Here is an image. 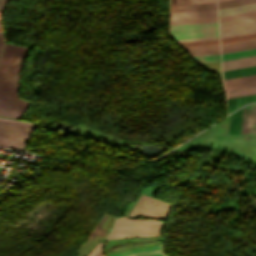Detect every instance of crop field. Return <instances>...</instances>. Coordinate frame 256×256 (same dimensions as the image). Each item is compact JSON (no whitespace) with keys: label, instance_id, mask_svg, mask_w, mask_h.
Listing matches in <instances>:
<instances>
[{"label":"crop field","instance_id":"dd49c442","mask_svg":"<svg viewBox=\"0 0 256 256\" xmlns=\"http://www.w3.org/2000/svg\"><path fill=\"white\" fill-rule=\"evenodd\" d=\"M251 31H256V16L220 22L221 37Z\"/></svg>","mask_w":256,"mask_h":256},{"label":"crop field","instance_id":"d8731c3e","mask_svg":"<svg viewBox=\"0 0 256 256\" xmlns=\"http://www.w3.org/2000/svg\"><path fill=\"white\" fill-rule=\"evenodd\" d=\"M217 16L216 9L170 13V20Z\"/></svg>","mask_w":256,"mask_h":256},{"label":"crop field","instance_id":"bc2a9ffb","mask_svg":"<svg viewBox=\"0 0 256 256\" xmlns=\"http://www.w3.org/2000/svg\"><path fill=\"white\" fill-rule=\"evenodd\" d=\"M197 63L220 61L219 54L192 57Z\"/></svg>","mask_w":256,"mask_h":256},{"label":"crop field","instance_id":"028f5c9d","mask_svg":"<svg viewBox=\"0 0 256 256\" xmlns=\"http://www.w3.org/2000/svg\"><path fill=\"white\" fill-rule=\"evenodd\" d=\"M0 32H2V28H1V22H0Z\"/></svg>","mask_w":256,"mask_h":256},{"label":"crop field","instance_id":"ae1a2a85","mask_svg":"<svg viewBox=\"0 0 256 256\" xmlns=\"http://www.w3.org/2000/svg\"><path fill=\"white\" fill-rule=\"evenodd\" d=\"M254 47H256V44L241 46V47H236V48H230V49H224V50H222V53L236 51V50H242V49H248V48H254Z\"/></svg>","mask_w":256,"mask_h":256},{"label":"crop field","instance_id":"d32e631a","mask_svg":"<svg viewBox=\"0 0 256 256\" xmlns=\"http://www.w3.org/2000/svg\"><path fill=\"white\" fill-rule=\"evenodd\" d=\"M253 33H256V32H251V33H246V34H240V35H235V36H241V35H247V34H253ZM235 36H229V37H235ZM229 37H223V38H229ZM221 38V39H223Z\"/></svg>","mask_w":256,"mask_h":256},{"label":"crop field","instance_id":"dafd665d","mask_svg":"<svg viewBox=\"0 0 256 256\" xmlns=\"http://www.w3.org/2000/svg\"><path fill=\"white\" fill-rule=\"evenodd\" d=\"M251 2H256V0H232V1L220 2L218 3V6L219 8H221V7L239 5V4H245V3H251Z\"/></svg>","mask_w":256,"mask_h":256},{"label":"crop field","instance_id":"5142ce71","mask_svg":"<svg viewBox=\"0 0 256 256\" xmlns=\"http://www.w3.org/2000/svg\"><path fill=\"white\" fill-rule=\"evenodd\" d=\"M223 74H224V79L238 77V76H244V75H250V74H256V66L237 69V70H231V71H225V72H223Z\"/></svg>","mask_w":256,"mask_h":256},{"label":"crop field","instance_id":"e52e79f7","mask_svg":"<svg viewBox=\"0 0 256 256\" xmlns=\"http://www.w3.org/2000/svg\"><path fill=\"white\" fill-rule=\"evenodd\" d=\"M109 256H165L162 252V245L131 250Z\"/></svg>","mask_w":256,"mask_h":256},{"label":"crop field","instance_id":"e1f06a70","mask_svg":"<svg viewBox=\"0 0 256 256\" xmlns=\"http://www.w3.org/2000/svg\"><path fill=\"white\" fill-rule=\"evenodd\" d=\"M220 1H226V0H218V2H220Z\"/></svg>","mask_w":256,"mask_h":256},{"label":"crop field","instance_id":"730fd06b","mask_svg":"<svg viewBox=\"0 0 256 256\" xmlns=\"http://www.w3.org/2000/svg\"><path fill=\"white\" fill-rule=\"evenodd\" d=\"M252 43H256V39L240 41V42H235V43H229V44H223V45H221V47H222V49H224V48L236 47V46L247 45V44H252Z\"/></svg>","mask_w":256,"mask_h":256},{"label":"crop field","instance_id":"3316defc","mask_svg":"<svg viewBox=\"0 0 256 256\" xmlns=\"http://www.w3.org/2000/svg\"><path fill=\"white\" fill-rule=\"evenodd\" d=\"M256 65V56L222 62L223 71Z\"/></svg>","mask_w":256,"mask_h":256},{"label":"crop field","instance_id":"1d83c4d3","mask_svg":"<svg viewBox=\"0 0 256 256\" xmlns=\"http://www.w3.org/2000/svg\"><path fill=\"white\" fill-rule=\"evenodd\" d=\"M3 43H4L3 34L0 33V53H1V50H2V47H3Z\"/></svg>","mask_w":256,"mask_h":256},{"label":"crop field","instance_id":"00972430","mask_svg":"<svg viewBox=\"0 0 256 256\" xmlns=\"http://www.w3.org/2000/svg\"><path fill=\"white\" fill-rule=\"evenodd\" d=\"M249 133H256V104H252Z\"/></svg>","mask_w":256,"mask_h":256},{"label":"crop field","instance_id":"8a807250","mask_svg":"<svg viewBox=\"0 0 256 256\" xmlns=\"http://www.w3.org/2000/svg\"><path fill=\"white\" fill-rule=\"evenodd\" d=\"M28 48L6 44L0 58V115L19 119L29 101L18 98L23 61Z\"/></svg>","mask_w":256,"mask_h":256},{"label":"crop field","instance_id":"cbeb9de0","mask_svg":"<svg viewBox=\"0 0 256 256\" xmlns=\"http://www.w3.org/2000/svg\"><path fill=\"white\" fill-rule=\"evenodd\" d=\"M253 55H256V48L242 50V51H236V52H230V53H224V54H222V61L241 58V57H247V56H253Z\"/></svg>","mask_w":256,"mask_h":256},{"label":"crop field","instance_id":"214f88e0","mask_svg":"<svg viewBox=\"0 0 256 256\" xmlns=\"http://www.w3.org/2000/svg\"><path fill=\"white\" fill-rule=\"evenodd\" d=\"M179 44L181 47H188V46H200V45H213V44H219V42L218 40H212V41L184 42Z\"/></svg>","mask_w":256,"mask_h":256},{"label":"crop field","instance_id":"22f410ed","mask_svg":"<svg viewBox=\"0 0 256 256\" xmlns=\"http://www.w3.org/2000/svg\"><path fill=\"white\" fill-rule=\"evenodd\" d=\"M211 8H216V3L170 6V12Z\"/></svg>","mask_w":256,"mask_h":256},{"label":"crop field","instance_id":"ac0d7876","mask_svg":"<svg viewBox=\"0 0 256 256\" xmlns=\"http://www.w3.org/2000/svg\"><path fill=\"white\" fill-rule=\"evenodd\" d=\"M35 126V123L0 117V146L22 149Z\"/></svg>","mask_w":256,"mask_h":256},{"label":"crop field","instance_id":"34b2d1b8","mask_svg":"<svg viewBox=\"0 0 256 256\" xmlns=\"http://www.w3.org/2000/svg\"><path fill=\"white\" fill-rule=\"evenodd\" d=\"M163 222L158 220H134L120 217L117 219L109 238L157 236Z\"/></svg>","mask_w":256,"mask_h":256},{"label":"crop field","instance_id":"4a817a6b","mask_svg":"<svg viewBox=\"0 0 256 256\" xmlns=\"http://www.w3.org/2000/svg\"><path fill=\"white\" fill-rule=\"evenodd\" d=\"M217 21V17L170 21V25Z\"/></svg>","mask_w":256,"mask_h":256},{"label":"crop field","instance_id":"120bbe31","mask_svg":"<svg viewBox=\"0 0 256 256\" xmlns=\"http://www.w3.org/2000/svg\"><path fill=\"white\" fill-rule=\"evenodd\" d=\"M212 39H218V38H211V39H197V40H183V41H177V42H184V41H198V40H212Z\"/></svg>","mask_w":256,"mask_h":256},{"label":"crop field","instance_id":"eef30255","mask_svg":"<svg viewBox=\"0 0 256 256\" xmlns=\"http://www.w3.org/2000/svg\"><path fill=\"white\" fill-rule=\"evenodd\" d=\"M252 38H256V34L241 36V37H235V38H229V39H223V40H221V44L240 41V40H246V39H252Z\"/></svg>","mask_w":256,"mask_h":256},{"label":"crop field","instance_id":"f4fd0767","mask_svg":"<svg viewBox=\"0 0 256 256\" xmlns=\"http://www.w3.org/2000/svg\"><path fill=\"white\" fill-rule=\"evenodd\" d=\"M170 204L158 199L141 195L130 216H147L165 220L170 208Z\"/></svg>","mask_w":256,"mask_h":256},{"label":"crop field","instance_id":"733c2abd","mask_svg":"<svg viewBox=\"0 0 256 256\" xmlns=\"http://www.w3.org/2000/svg\"><path fill=\"white\" fill-rule=\"evenodd\" d=\"M251 104L244 107L241 133H248Z\"/></svg>","mask_w":256,"mask_h":256},{"label":"crop field","instance_id":"5866460e","mask_svg":"<svg viewBox=\"0 0 256 256\" xmlns=\"http://www.w3.org/2000/svg\"><path fill=\"white\" fill-rule=\"evenodd\" d=\"M95 256H104V255L102 254V249H101V248H100L99 252H98Z\"/></svg>","mask_w":256,"mask_h":256},{"label":"crop field","instance_id":"5a996713","mask_svg":"<svg viewBox=\"0 0 256 256\" xmlns=\"http://www.w3.org/2000/svg\"><path fill=\"white\" fill-rule=\"evenodd\" d=\"M224 82H225L226 90L240 88V87H246V86H252V85H256V75L226 79V80H224Z\"/></svg>","mask_w":256,"mask_h":256},{"label":"crop field","instance_id":"bd1437ed","mask_svg":"<svg viewBox=\"0 0 256 256\" xmlns=\"http://www.w3.org/2000/svg\"><path fill=\"white\" fill-rule=\"evenodd\" d=\"M9 2V0H0V12L3 11L6 4Z\"/></svg>","mask_w":256,"mask_h":256},{"label":"crop field","instance_id":"750c4746","mask_svg":"<svg viewBox=\"0 0 256 256\" xmlns=\"http://www.w3.org/2000/svg\"><path fill=\"white\" fill-rule=\"evenodd\" d=\"M101 245H102V242H99L97 246L87 256H93Z\"/></svg>","mask_w":256,"mask_h":256},{"label":"crop field","instance_id":"a9b5d70f","mask_svg":"<svg viewBox=\"0 0 256 256\" xmlns=\"http://www.w3.org/2000/svg\"><path fill=\"white\" fill-rule=\"evenodd\" d=\"M252 15H256V11L240 13V14H234V15H228V16H222V17H219V19H220V21H222V20H228V19L252 16Z\"/></svg>","mask_w":256,"mask_h":256},{"label":"crop field","instance_id":"d1516ede","mask_svg":"<svg viewBox=\"0 0 256 256\" xmlns=\"http://www.w3.org/2000/svg\"><path fill=\"white\" fill-rule=\"evenodd\" d=\"M251 10H256V3L221 8V9H219V16L233 14V13H239V12H245V11H251Z\"/></svg>","mask_w":256,"mask_h":256},{"label":"crop field","instance_id":"d9b57169","mask_svg":"<svg viewBox=\"0 0 256 256\" xmlns=\"http://www.w3.org/2000/svg\"><path fill=\"white\" fill-rule=\"evenodd\" d=\"M253 93H256V86L226 91L227 98L241 96V95H247V94H253Z\"/></svg>","mask_w":256,"mask_h":256},{"label":"crop field","instance_id":"0bd39190","mask_svg":"<svg viewBox=\"0 0 256 256\" xmlns=\"http://www.w3.org/2000/svg\"><path fill=\"white\" fill-rule=\"evenodd\" d=\"M0 15H1V13H0Z\"/></svg>","mask_w":256,"mask_h":256},{"label":"crop field","instance_id":"d3111659","mask_svg":"<svg viewBox=\"0 0 256 256\" xmlns=\"http://www.w3.org/2000/svg\"><path fill=\"white\" fill-rule=\"evenodd\" d=\"M219 53V50H214V51H203V52H192L188 53L190 56H195V55H205V54H215Z\"/></svg>","mask_w":256,"mask_h":256},{"label":"crop field","instance_id":"28ad6ade","mask_svg":"<svg viewBox=\"0 0 256 256\" xmlns=\"http://www.w3.org/2000/svg\"><path fill=\"white\" fill-rule=\"evenodd\" d=\"M255 101H256V94L241 96V97H235V98H229V99H227V106L250 103V102H255ZM240 106H242V105L227 107L228 114L231 113L232 111L236 110Z\"/></svg>","mask_w":256,"mask_h":256},{"label":"crop field","instance_id":"4177f3b9","mask_svg":"<svg viewBox=\"0 0 256 256\" xmlns=\"http://www.w3.org/2000/svg\"><path fill=\"white\" fill-rule=\"evenodd\" d=\"M186 52L219 49V45L183 48Z\"/></svg>","mask_w":256,"mask_h":256},{"label":"crop field","instance_id":"412701ff","mask_svg":"<svg viewBox=\"0 0 256 256\" xmlns=\"http://www.w3.org/2000/svg\"><path fill=\"white\" fill-rule=\"evenodd\" d=\"M175 40L218 37L217 22L170 26Z\"/></svg>","mask_w":256,"mask_h":256},{"label":"crop field","instance_id":"92a150f3","mask_svg":"<svg viewBox=\"0 0 256 256\" xmlns=\"http://www.w3.org/2000/svg\"><path fill=\"white\" fill-rule=\"evenodd\" d=\"M209 2H216V0H170V5L193 4V3H209Z\"/></svg>","mask_w":256,"mask_h":256}]
</instances>
